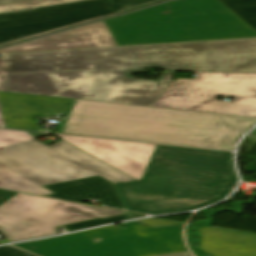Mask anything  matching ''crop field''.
Masks as SVG:
<instances>
[{"label":"crop field","instance_id":"crop-field-1","mask_svg":"<svg viewBox=\"0 0 256 256\" xmlns=\"http://www.w3.org/2000/svg\"><path fill=\"white\" fill-rule=\"evenodd\" d=\"M147 67L256 71V39L12 54L0 57V90L152 106L172 83L125 78Z\"/></svg>","mask_w":256,"mask_h":256},{"label":"crop field","instance_id":"crop-field-2","mask_svg":"<svg viewBox=\"0 0 256 256\" xmlns=\"http://www.w3.org/2000/svg\"><path fill=\"white\" fill-rule=\"evenodd\" d=\"M256 118L70 99L56 132L233 150Z\"/></svg>","mask_w":256,"mask_h":256},{"label":"crop field","instance_id":"crop-field-3","mask_svg":"<svg viewBox=\"0 0 256 256\" xmlns=\"http://www.w3.org/2000/svg\"><path fill=\"white\" fill-rule=\"evenodd\" d=\"M105 23L117 46L256 37L218 0H178Z\"/></svg>","mask_w":256,"mask_h":256},{"label":"crop field","instance_id":"crop-field-4","mask_svg":"<svg viewBox=\"0 0 256 256\" xmlns=\"http://www.w3.org/2000/svg\"><path fill=\"white\" fill-rule=\"evenodd\" d=\"M42 135L0 129V189L45 196L52 193L41 185L88 176L134 180L62 140L47 146L34 139Z\"/></svg>","mask_w":256,"mask_h":256},{"label":"crop field","instance_id":"crop-field-5","mask_svg":"<svg viewBox=\"0 0 256 256\" xmlns=\"http://www.w3.org/2000/svg\"><path fill=\"white\" fill-rule=\"evenodd\" d=\"M236 183L232 174L148 166L141 181L114 186L127 210L157 215L214 203Z\"/></svg>","mask_w":256,"mask_h":256},{"label":"crop field","instance_id":"crop-field-6","mask_svg":"<svg viewBox=\"0 0 256 256\" xmlns=\"http://www.w3.org/2000/svg\"><path fill=\"white\" fill-rule=\"evenodd\" d=\"M81 233L16 244L39 256H156L187 251L182 240L184 225L147 227L137 221Z\"/></svg>","mask_w":256,"mask_h":256},{"label":"crop field","instance_id":"crop-field-7","mask_svg":"<svg viewBox=\"0 0 256 256\" xmlns=\"http://www.w3.org/2000/svg\"><path fill=\"white\" fill-rule=\"evenodd\" d=\"M159 0H0V44Z\"/></svg>","mask_w":256,"mask_h":256},{"label":"crop field","instance_id":"crop-field-8","mask_svg":"<svg viewBox=\"0 0 256 256\" xmlns=\"http://www.w3.org/2000/svg\"><path fill=\"white\" fill-rule=\"evenodd\" d=\"M125 212L0 190V233L9 241L56 234L57 226Z\"/></svg>","mask_w":256,"mask_h":256},{"label":"crop field","instance_id":"crop-field-9","mask_svg":"<svg viewBox=\"0 0 256 256\" xmlns=\"http://www.w3.org/2000/svg\"><path fill=\"white\" fill-rule=\"evenodd\" d=\"M215 95L256 96V73H197V79H175L153 106L256 117V98L227 102L214 100Z\"/></svg>","mask_w":256,"mask_h":256},{"label":"crop field","instance_id":"crop-field-10","mask_svg":"<svg viewBox=\"0 0 256 256\" xmlns=\"http://www.w3.org/2000/svg\"><path fill=\"white\" fill-rule=\"evenodd\" d=\"M111 167L141 180L156 146L132 142L57 135Z\"/></svg>","mask_w":256,"mask_h":256},{"label":"crop field","instance_id":"crop-field-11","mask_svg":"<svg viewBox=\"0 0 256 256\" xmlns=\"http://www.w3.org/2000/svg\"><path fill=\"white\" fill-rule=\"evenodd\" d=\"M116 46L104 21L0 49V53Z\"/></svg>","mask_w":256,"mask_h":256},{"label":"crop field","instance_id":"crop-field-12","mask_svg":"<svg viewBox=\"0 0 256 256\" xmlns=\"http://www.w3.org/2000/svg\"><path fill=\"white\" fill-rule=\"evenodd\" d=\"M148 165L233 173V153L157 145Z\"/></svg>","mask_w":256,"mask_h":256},{"label":"crop field","instance_id":"crop-field-13","mask_svg":"<svg viewBox=\"0 0 256 256\" xmlns=\"http://www.w3.org/2000/svg\"><path fill=\"white\" fill-rule=\"evenodd\" d=\"M42 187L55 193L47 197L74 202L97 198L101 201L102 205L125 210L113 184L100 176L45 185Z\"/></svg>","mask_w":256,"mask_h":256},{"label":"crop field","instance_id":"crop-field-14","mask_svg":"<svg viewBox=\"0 0 256 256\" xmlns=\"http://www.w3.org/2000/svg\"><path fill=\"white\" fill-rule=\"evenodd\" d=\"M202 252L211 256H256V234L214 227L197 229Z\"/></svg>","mask_w":256,"mask_h":256},{"label":"crop field","instance_id":"crop-field-15","mask_svg":"<svg viewBox=\"0 0 256 256\" xmlns=\"http://www.w3.org/2000/svg\"><path fill=\"white\" fill-rule=\"evenodd\" d=\"M256 30V0H219Z\"/></svg>","mask_w":256,"mask_h":256},{"label":"crop field","instance_id":"crop-field-16","mask_svg":"<svg viewBox=\"0 0 256 256\" xmlns=\"http://www.w3.org/2000/svg\"><path fill=\"white\" fill-rule=\"evenodd\" d=\"M129 218L130 217L127 214H124V215L110 217V218H106V219H95V220H89V221H83V222H79V223L69 224V225H65L64 228L66 229V231H71V230H77V229H82V228L104 225V224L117 222V221L129 219Z\"/></svg>","mask_w":256,"mask_h":256},{"label":"crop field","instance_id":"crop-field-17","mask_svg":"<svg viewBox=\"0 0 256 256\" xmlns=\"http://www.w3.org/2000/svg\"><path fill=\"white\" fill-rule=\"evenodd\" d=\"M0 256H33L10 246L0 247Z\"/></svg>","mask_w":256,"mask_h":256},{"label":"crop field","instance_id":"crop-field-18","mask_svg":"<svg viewBox=\"0 0 256 256\" xmlns=\"http://www.w3.org/2000/svg\"><path fill=\"white\" fill-rule=\"evenodd\" d=\"M147 225H168V224H182V223H176V222H170V221H164V220H158V219H152V218H147L143 220H139Z\"/></svg>","mask_w":256,"mask_h":256},{"label":"crop field","instance_id":"crop-field-19","mask_svg":"<svg viewBox=\"0 0 256 256\" xmlns=\"http://www.w3.org/2000/svg\"><path fill=\"white\" fill-rule=\"evenodd\" d=\"M164 256H191L189 252L185 253H178V254H171V255H164Z\"/></svg>","mask_w":256,"mask_h":256},{"label":"crop field","instance_id":"crop-field-20","mask_svg":"<svg viewBox=\"0 0 256 256\" xmlns=\"http://www.w3.org/2000/svg\"><path fill=\"white\" fill-rule=\"evenodd\" d=\"M129 215L132 217V218H138V217H142V216H145V215H142V214H136V213H130L128 212Z\"/></svg>","mask_w":256,"mask_h":256},{"label":"crop field","instance_id":"crop-field-21","mask_svg":"<svg viewBox=\"0 0 256 256\" xmlns=\"http://www.w3.org/2000/svg\"><path fill=\"white\" fill-rule=\"evenodd\" d=\"M189 226H187L188 228ZM186 228L185 230V234H186V239H187V243L189 244V235H188V229Z\"/></svg>","mask_w":256,"mask_h":256},{"label":"crop field","instance_id":"crop-field-22","mask_svg":"<svg viewBox=\"0 0 256 256\" xmlns=\"http://www.w3.org/2000/svg\"><path fill=\"white\" fill-rule=\"evenodd\" d=\"M0 127H4L2 116H1V112H0Z\"/></svg>","mask_w":256,"mask_h":256},{"label":"crop field","instance_id":"crop-field-23","mask_svg":"<svg viewBox=\"0 0 256 256\" xmlns=\"http://www.w3.org/2000/svg\"><path fill=\"white\" fill-rule=\"evenodd\" d=\"M194 254L196 255V253L194 252ZM197 256V255H196Z\"/></svg>","mask_w":256,"mask_h":256}]
</instances>
